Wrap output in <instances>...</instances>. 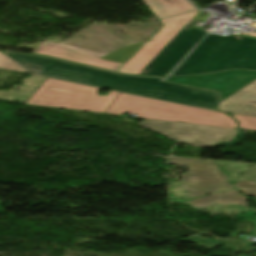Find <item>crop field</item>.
I'll return each mask as SVG.
<instances>
[{"mask_svg": "<svg viewBox=\"0 0 256 256\" xmlns=\"http://www.w3.org/2000/svg\"><path fill=\"white\" fill-rule=\"evenodd\" d=\"M3 53L14 62L45 67L38 75L204 109L217 107L219 93L213 91L191 89L156 78L117 75L53 58Z\"/></svg>", "mask_w": 256, "mask_h": 256, "instance_id": "1", "label": "crop field"}, {"mask_svg": "<svg viewBox=\"0 0 256 256\" xmlns=\"http://www.w3.org/2000/svg\"><path fill=\"white\" fill-rule=\"evenodd\" d=\"M244 68L256 70V38L208 34L169 76Z\"/></svg>", "mask_w": 256, "mask_h": 256, "instance_id": "2", "label": "crop field"}, {"mask_svg": "<svg viewBox=\"0 0 256 256\" xmlns=\"http://www.w3.org/2000/svg\"><path fill=\"white\" fill-rule=\"evenodd\" d=\"M124 112L142 119L237 128L231 117L220 112L120 93L106 113L122 115Z\"/></svg>", "mask_w": 256, "mask_h": 256, "instance_id": "3", "label": "crop field"}, {"mask_svg": "<svg viewBox=\"0 0 256 256\" xmlns=\"http://www.w3.org/2000/svg\"><path fill=\"white\" fill-rule=\"evenodd\" d=\"M99 88L47 78L27 104L105 113L118 92L97 95Z\"/></svg>", "mask_w": 256, "mask_h": 256, "instance_id": "4", "label": "crop field"}, {"mask_svg": "<svg viewBox=\"0 0 256 256\" xmlns=\"http://www.w3.org/2000/svg\"><path fill=\"white\" fill-rule=\"evenodd\" d=\"M165 164L189 165L187 173L179 182L185 184L188 192L185 196L189 198L234 188L227 184L228 178L216 168L212 160L168 157Z\"/></svg>", "mask_w": 256, "mask_h": 256, "instance_id": "5", "label": "crop field"}, {"mask_svg": "<svg viewBox=\"0 0 256 256\" xmlns=\"http://www.w3.org/2000/svg\"><path fill=\"white\" fill-rule=\"evenodd\" d=\"M139 125L195 147H211L220 141H232L238 130L210 126L144 120Z\"/></svg>", "mask_w": 256, "mask_h": 256, "instance_id": "6", "label": "crop field"}, {"mask_svg": "<svg viewBox=\"0 0 256 256\" xmlns=\"http://www.w3.org/2000/svg\"><path fill=\"white\" fill-rule=\"evenodd\" d=\"M195 22L190 20L138 75L166 76L207 33L206 31L192 29L191 27Z\"/></svg>", "mask_w": 256, "mask_h": 256, "instance_id": "7", "label": "crop field"}, {"mask_svg": "<svg viewBox=\"0 0 256 256\" xmlns=\"http://www.w3.org/2000/svg\"><path fill=\"white\" fill-rule=\"evenodd\" d=\"M144 43L139 42L101 58L74 50L72 48L46 40L32 54L55 57L71 62L83 63L97 68L116 71Z\"/></svg>", "mask_w": 256, "mask_h": 256, "instance_id": "8", "label": "crop field"}, {"mask_svg": "<svg viewBox=\"0 0 256 256\" xmlns=\"http://www.w3.org/2000/svg\"><path fill=\"white\" fill-rule=\"evenodd\" d=\"M198 11L161 20L165 27L161 29L137 54H135L118 71V73L137 75Z\"/></svg>", "mask_w": 256, "mask_h": 256, "instance_id": "9", "label": "crop field"}, {"mask_svg": "<svg viewBox=\"0 0 256 256\" xmlns=\"http://www.w3.org/2000/svg\"><path fill=\"white\" fill-rule=\"evenodd\" d=\"M256 80V72L234 70L194 77L167 78L171 81L197 88H208L222 92L221 100Z\"/></svg>", "mask_w": 256, "mask_h": 256, "instance_id": "10", "label": "crop field"}, {"mask_svg": "<svg viewBox=\"0 0 256 256\" xmlns=\"http://www.w3.org/2000/svg\"><path fill=\"white\" fill-rule=\"evenodd\" d=\"M219 110L256 116V81L220 102Z\"/></svg>", "mask_w": 256, "mask_h": 256, "instance_id": "11", "label": "crop field"}, {"mask_svg": "<svg viewBox=\"0 0 256 256\" xmlns=\"http://www.w3.org/2000/svg\"><path fill=\"white\" fill-rule=\"evenodd\" d=\"M161 19L195 10L186 0H144Z\"/></svg>", "mask_w": 256, "mask_h": 256, "instance_id": "12", "label": "crop field"}, {"mask_svg": "<svg viewBox=\"0 0 256 256\" xmlns=\"http://www.w3.org/2000/svg\"><path fill=\"white\" fill-rule=\"evenodd\" d=\"M247 199L248 198L241 195L236 190H231V191H226L219 194L197 198L189 203L191 206L195 208H203L210 205L211 202H215V204L217 205L247 204L246 203Z\"/></svg>", "mask_w": 256, "mask_h": 256, "instance_id": "13", "label": "crop field"}, {"mask_svg": "<svg viewBox=\"0 0 256 256\" xmlns=\"http://www.w3.org/2000/svg\"><path fill=\"white\" fill-rule=\"evenodd\" d=\"M240 122V128L256 130V117L232 114Z\"/></svg>", "mask_w": 256, "mask_h": 256, "instance_id": "14", "label": "crop field"}, {"mask_svg": "<svg viewBox=\"0 0 256 256\" xmlns=\"http://www.w3.org/2000/svg\"><path fill=\"white\" fill-rule=\"evenodd\" d=\"M189 239L207 249H211V248L221 244V242H219V241H216L213 239L201 238L199 236L189 237Z\"/></svg>", "mask_w": 256, "mask_h": 256, "instance_id": "15", "label": "crop field"}, {"mask_svg": "<svg viewBox=\"0 0 256 256\" xmlns=\"http://www.w3.org/2000/svg\"><path fill=\"white\" fill-rule=\"evenodd\" d=\"M0 67L6 68V69H11V70H16V71H21V72H26L20 66H18L16 63L11 61L7 56H5L1 52H0Z\"/></svg>", "mask_w": 256, "mask_h": 256, "instance_id": "16", "label": "crop field"}, {"mask_svg": "<svg viewBox=\"0 0 256 256\" xmlns=\"http://www.w3.org/2000/svg\"><path fill=\"white\" fill-rule=\"evenodd\" d=\"M18 65H20L28 73H32V74H37L40 70L43 69L42 67H36V66H30V65H24V64H18Z\"/></svg>", "mask_w": 256, "mask_h": 256, "instance_id": "17", "label": "crop field"}, {"mask_svg": "<svg viewBox=\"0 0 256 256\" xmlns=\"http://www.w3.org/2000/svg\"><path fill=\"white\" fill-rule=\"evenodd\" d=\"M238 188H255V182H236L235 184Z\"/></svg>", "mask_w": 256, "mask_h": 256, "instance_id": "18", "label": "crop field"}, {"mask_svg": "<svg viewBox=\"0 0 256 256\" xmlns=\"http://www.w3.org/2000/svg\"><path fill=\"white\" fill-rule=\"evenodd\" d=\"M245 133V131H240L235 139L234 142H229V143H219L217 144L216 146L218 145H226V144H234V143H238L240 141V139L242 138L243 134Z\"/></svg>", "mask_w": 256, "mask_h": 256, "instance_id": "19", "label": "crop field"}, {"mask_svg": "<svg viewBox=\"0 0 256 256\" xmlns=\"http://www.w3.org/2000/svg\"><path fill=\"white\" fill-rule=\"evenodd\" d=\"M240 191L243 192L245 195L256 196V189H252V190H240Z\"/></svg>", "mask_w": 256, "mask_h": 256, "instance_id": "20", "label": "crop field"}, {"mask_svg": "<svg viewBox=\"0 0 256 256\" xmlns=\"http://www.w3.org/2000/svg\"><path fill=\"white\" fill-rule=\"evenodd\" d=\"M253 223H254L255 227H254L253 230L251 231V234H252L253 236H256V220H253Z\"/></svg>", "mask_w": 256, "mask_h": 256, "instance_id": "21", "label": "crop field"}, {"mask_svg": "<svg viewBox=\"0 0 256 256\" xmlns=\"http://www.w3.org/2000/svg\"><path fill=\"white\" fill-rule=\"evenodd\" d=\"M252 244H256V242H255V243H246V245H247L248 247H250V248H252V249H255V250H256V248H255V247L251 246Z\"/></svg>", "mask_w": 256, "mask_h": 256, "instance_id": "22", "label": "crop field"}]
</instances>
